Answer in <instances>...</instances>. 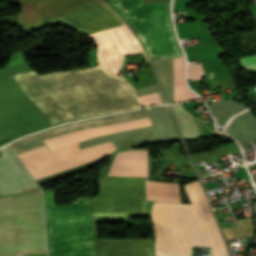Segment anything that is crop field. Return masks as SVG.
<instances>
[{
  "label": "crop field",
  "mask_w": 256,
  "mask_h": 256,
  "mask_svg": "<svg viewBox=\"0 0 256 256\" xmlns=\"http://www.w3.org/2000/svg\"><path fill=\"white\" fill-rule=\"evenodd\" d=\"M104 196H89L96 256H153L150 239H99L93 214H144V179L103 177ZM49 256H95L88 196L56 205L43 190Z\"/></svg>",
  "instance_id": "8a807250"
},
{
  "label": "crop field",
  "mask_w": 256,
  "mask_h": 256,
  "mask_svg": "<svg viewBox=\"0 0 256 256\" xmlns=\"http://www.w3.org/2000/svg\"><path fill=\"white\" fill-rule=\"evenodd\" d=\"M13 80L50 126L140 108L130 83L100 66Z\"/></svg>",
  "instance_id": "ac0d7876"
},
{
  "label": "crop field",
  "mask_w": 256,
  "mask_h": 256,
  "mask_svg": "<svg viewBox=\"0 0 256 256\" xmlns=\"http://www.w3.org/2000/svg\"><path fill=\"white\" fill-rule=\"evenodd\" d=\"M183 187L191 205L152 203L155 256H191L193 246L229 256L199 181Z\"/></svg>",
  "instance_id": "34b2d1b8"
},
{
  "label": "crop field",
  "mask_w": 256,
  "mask_h": 256,
  "mask_svg": "<svg viewBox=\"0 0 256 256\" xmlns=\"http://www.w3.org/2000/svg\"><path fill=\"white\" fill-rule=\"evenodd\" d=\"M150 126L149 118H141L136 120H130L125 122H119V123H113L98 127H92L82 130H76L69 133H65L53 138H49L46 140H43V143L50 149H55L76 141L84 140L90 137L114 132V131H120V130H126V129H133V128H140V127H146ZM43 145L28 151H25L23 153L18 154V157L21 159V161L26 166L27 170L45 165L54 161L84 154L96 149H100L109 145H112L111 141L84 147L78 149V142L52 150L53 154L48 150V148ZM116 150L114 145L96 150L81 156L57 161L45 166H41L32 170H29L31 175L34 177L35 180L52 175L54 173L90 162L92 160L107 156L112 151Z\"/></svg>",
  "instance_id": "412701ff"
},
{
  "label": "crop field",
  "mask_w": 256,
  "mask_h": 256,
  "mask_svg": "<svg viewBox=\"0 0 256 256\" xmlns=\"http://www.w3.org/2000/svg\"><path fill=\"white\" fill-rule=\"evenodd\" d=\"M47 252L41 191L0 198V256Z\"/></svg>",
  "instance_id": "f4fd0767"
},
{
  "label": "crop field",
  "mask_w": 256,
  "mask_h": 256,
  "mask_svg": "<svg viewBox=\"0 0 256 256\" xmlns=\"http://www.w3.org/2000/svg\"><path fill=\"white\" fill-rule=\"evenodd\" d=\"M59 17L89 33L123 23L101 0H21L19 19L28 26Z\"/></svg>",
  "instance_id": "dd49c442"
},
{
  "label": "crop field",
  "mask_w": 256,
  "mask_h": 256,
  "mask_svg": "<svg viewBox=\"0 0 256 256\" xmlns=\"http://www.w3.org/2000/svg\"><path fill=\"white\" fill-rule=\"evenodd\" d=\"M129 22L150 58L182 55L173 35L169 2L142 4L140 0L109 2Z\"/></svg>",
  "instance_id": "e52e79f7"
},
{
  "label": "crop field",
  "mask_w": 256,
  "mask_h": 256,
  "mask_svg": "<svg viewBox=\"0 0 256 256\" xmlns=\"http://www.w3.org/2000/svg\"><path fill=\"white\" fill-rule=\"evenodd\" d=\"M97 45V63L116 75L124 56L143 53L125 24L87 35Z\"/></svg>",
  "instance_id": "d8731c3e"
},
{
  "label": "crop field",
  "mask_w": 256,
  "mask_h": 256,
  "mask_svg": "<svg viewBox=\"0 0 256 256\" xmlns=\"http://www.w3.org/2000/svg\"><path fill=\"white\" fill-rule=\"evenodd\" d=\"M107 176L148 177L147 150H126L116 153Z\"/></svg>",
  "instance_id": "5a996713"
},
{
  "label": "crop field",
  "mask_w": 256,
  "mask_h": 256,
  "mask_svg": "<svg viewBox=\"0 0 256 256\" xmlns=\"http://www.w3.org/2000/svg\"><path fill=\"white\" fill-rule=\"evenodd\" d=\"M145 116L146 115L143 110H136V111L129 112V113L116 114V115H110V116H104V117L79 121L74 124L61 126L58 128H54V129L39 133V135L42 139H44V138H48L51 136H55V135L65 133L68 131H72V130H76V129H82V128L103 125V124H108V123H113V122L136 119V118H141V117H145Z\"/></svg>",
  "instance_id": "3316defc"
},
{
  "label": "crop field",
  "mask_w": 256,
  "mask_h": 256,
  "mask_svg": "<svg viewBox=\"0 0 256 256\" xmlns=\"http://www.w3.org/2000/svg\"><path fill=\"white\" fill-rule=\"evenodd\" d=\"M146 200L181 203L179 184L146 181Z\"/></svg>",
  "instance_id": "28ad6ade"
},
{
  "label": "crop field",
  "mask_w": 256,
  "mask_h": 256,
  "mask_svg": "<svg viewBox=\"0 0 256 256\" xmlns=\"http://www.w3.org/2000/svg\"><path fill=\"white\" fill-rule=\"evenodd\" d=\"M174 102H183L195 98L184 84L183 56L173 59Z\"/></svg>",
  "instance_id": "d1516ede"
},
{
  "label": "crop field",
  "mask_w": 256,
  "mask_h": 256,
  "mask_svg": "<svg viewBox=\"0 0 256 256\" xmlns=\"http://www.w3.org/2000/svg\"><path fill=\"white\" fill-rule=\"evenodd\" d=\"M137 98L143 106L162 103L157 92L138 96Z\"/></svg>",
  "instance_id": "22f410ed"
},
{
  "label": "crop field",
  "mask_w": 256,
  "mask_h": 256,
  "mask_svg": "<svg viewBox=\"0 0 256 256\" xmlns=\"http://www.w3.org/2000/svg\"><path fill=\"white\" fill-rule=\"evenodd\" d=\"M201 64L188 65V80L201 79L204 76Z\"/></svg>",
  "instance_id": "cbeb9de0"
},
{
  "label": "crop field",
  "mask_w": 256,
  "mask_h": 256,
  "mask_svg": "<svg viewBox=\"0 0 256 256\" xmlns=\"http://www.w3.org/2000/svg\"><path fill=\"white\" fill-rule=\"evenodd\" d=\"M240 63L245 69H256V56L243 58Z\"/></svg>",
  "instance_id": "5142ce71"
}]
</instances>
